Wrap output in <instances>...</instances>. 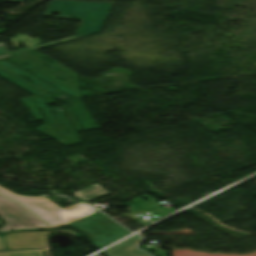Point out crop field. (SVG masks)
<instances>
[{"mask_svg":"<svg viewBox=\"0 0 256 256\" xmlns=\"http://www.w3.org/2000/svg\"><path fill=\"white\" fill-rule=\"evenodd\" d=\"M1 224V221H0ZM6 249L4 244H3V240H2V236H0V250Z\"/></svg>","mask_w":256,"mask_h":256,"instance_id":"crop-field-10","label":"crop field"},{"mask_svg":"<svg viewBox=\"0 0 256 256\" xmlns=\"http://www.w3.org/2000/svg\"><path fill=\"white\" fill-rule=\"evenodd\" d=\"M8 1H17V2H22L24 0H8Z\"/></svg>","mask_w":256,"mask_h":256,"instance_id":"crop-field-12","label":"crop field"},{"mask_svg":"<svg viewBox=\"0 0 256 256\" xmlns=\"http://www.w3.org/2000/svg\"><path fill=\"white\" fill-rule=\"evenodd\" d=\"M9 249L47 247L42 232H20L4 235Z\"/></svg>","mask_w":256,"mask_h":256,"instance_id":"crop-field-4","label":"crop field"},{"mask_svg":"<svg viewBox=\"0 0 256 256\" xmlns=\"http://www.w3.org/2000/svg\"><path fill=\"white\" fill-rule=\"evenodd\" d=\"M26 54L29 55V56H31V57H33V58H35V59H37V60H39V61H41V62H43V63H45V64H47V65H49V66L51 67V69L60 72L61 74H63L64 76H66V77H68V78L71 76V75H69V74H67V73H65V72H63V71H61V70H59L58 68L54 67L53 65L49 64L48 62H46L45 60L41 59L40 57L36 56L35 54H33V53H31V52L26 53ZM26 54H22V55H19V56H21L22 58H24V59H26V60H28V61H30V62L33 63V61H35V60H33V59L27 57ZM33 64H35L36 66H38V67H40V68H42V69L48 71L49 73H51V74H53V75H55V76H57V77L63 78V79L65 80V82H67V83H69L70 85H72V86H74L75 88H77V84H78V78H77V77H78V74L72 72L71 70L65 68L64 66H62V65H60V64H58V63H54V65H56V66L62 68L63 70H65V71L71 73V74H72L71 77H73V79H70V78L67 79V78H65V77H63V76H61V75L55 73L54 71H52L51 69L47 68L46 66H44V65H42V64H40V63H38L37 61H36V63H33ZM71 80H73L75 83L72 82Z\"/></svg>","mask_w":256,"mask_h":256,"instance_id":"crop-field-6","label":"crop field"},{"mask_svg":"<svg viewBox=\"0 0 256 256\" xmlns=\"http://www.w3.org/2000/svg\"><path fill=\"white\" fill-rule=\"evenodd\" d=\"M3 189L0 188V216L6 224L0 232L64 226L97 211L82 203L61 209L45 197H21Z\"/></svg>","mask_w":256,"mask_h":256,"instance_id":"crop-field-1","label":"crop field"},{"mask_svg":"<svg viewBox=\"0 0 256 256\" xmlns=\"http://www.w3.org/2000/svg\"><path fill=\"white\" fill-rule=\"evenodd\" d=\"M0 256H44L43 250L20 251V252H0Z\"/></svg>","mask_w":256,"mask_h":256,"instance_id":"crop-field-8","label":"crop field"},{"mask_svg":"<svg viewBox=\"0 0 256 256\" xmlns=\"http://www.w3.org/2000/svg\"><path fill=\"white\" fill-rule=\"evenodd\" d=\"M7 52V48L4 46L3 43L0 44V54Z\"/></svg>","mask_w":256,"mask_h":256,"instance_id":"crop-field-9","label":"crop field"},{"mask_svg":"<svg viewBox=\"0 0 256 256\" xmlns=\"http://www.w3.org/2000/svg\"><path fill=\"white\" fill-rule=\"evenodd\" d=\"M113 4L107 3H96V2H84V1H64V0H55L51 2L44 15L50 16L51 13L61 12V17L65 18H75L82 20V24L78 29L75 36L60 40L59 43L90 35L93 33L99 32L109 10ZM49 10H52L51 12ZM75 15H78L75 17ZM17 38L10 39L11 43L14 45V48H17L19 42H22L26 45L27 48L13 51L14 54L18 55L28 51H32L38 48L50 46L57 44L56 42L35 46L39 40L37 38L30 39L28 35H16ZM41 42V41H40ZM39 42V43H40Z\"/></svg>","mask_w":256,"mask_h":256,"instance_id":"crop-field-2","label":"crop field"},{"mask_svg":"<svg viewBox=\"0 0 256 256\" xmlns=\"http://www.w3.org/2000/svg\"><path fill=\"white\" fill-rule=\"evenodd\" d=\"M10 56H14V55L11 54V53L4 54V55H0V60H2V59H4V58H7V57H10Z\"/></svg>","mask_w":256,"mask_h":256,"instance_id":"crop-field-11","label":"crop field"},{"mask_svg":"<svg viewBox=\"0 0 256 256\" xmlns=\"http://www.w3.org/2000/svg\"><path fill=\"white\" fill-rule=\"evenodd\" d=\"M108 194L111 193L102 188L99 184H95L73 193L74 196L79 197L87 202L106 196Z\"/></svg>","mask_w":256,"mask_h":256,"instance_id":"crop-field-7","label":"crop field"},{"mask_svg":"<svg viewBox=\"0 0 256 256\" xmlns=\"http://www.w3.org/2000/svg\"><path fill=\"white\" fill-rule=\"evenodd\" d=\"M140 240L141 238L139 236L134 235L104 252L107 256H149L135 248V245Z\"/></svg>","mask_w":256,"mask_h":256,"instance_id":"crop-field-5","label":"crop field"},{"mask_svg":"<svg viewBox=\"0 0 256 256\" xmlns=\"http://www.w3.org/2000/svg\"><path fill=\"white\" fill-rule=\"evenodd\" d=\"M66 226L81 230L99 248L130 234L124 228L101 213L93 214Z\"/></svg>","mask_w":256,"mask_h":256,"instance_id":"crop-field-3","label":"crop field"}]
</instances>
